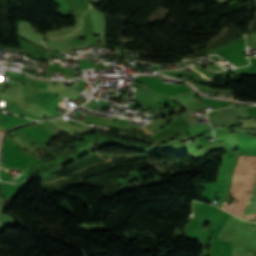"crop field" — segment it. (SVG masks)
<instances>
[{
  "label": "crop field",
  "mask_w": 256,
  "mask_h": 256,
  "mask_svg": "<svg viewBox=\"0 0 256 256\" xmlns=\"http://www.w3.org/2000/svg\"><path fill=\"white\" fill-rule=\"evenodd\" d=\"M32 102L48 109L49 111L53 112L54 114L56 115H60V113H58L55 109L51 108L50 106L46 105L45 103L51 105L52 107L54 108H59L61 107L59 104L64 102L60 99H58L53 93L51 92H48V93H45V94H41V95H37V96H34V97H30L29 98ZM45 103H43V102Z\"/></svg>",
  "instance_id": "obj_1"
},
{
  "label": "crop field",
  "mask_w": 256,
  "mask_h": 256,
  "mask_svg": "<svg viewBox=\"0 0 256 256\" xmlns=\"http://www.w3.org/2000/svg\"><path fill=\"white\" fill-rule=\"evenodd\" d=\"M226 203L224 202L220 208L225 209Z\"/></svg>",
  "instance_id": "obj_2"
},
{
  "label": "crop field",
  "mask_w": 256,
  "mask_h": 256,
  "mask_svg": "<svg viewBox=\"0 0 256 256\" xmlns=\"http://www.w3.org/2000/svg\"><path fill=\"white\" fill-rule=\"evenodd\" d=\"M214 1L218 2V0H214Z\"/></svg>",
  "instance_id": "obj_3"
},
{
  "label": "crop field",
  "mask_w": 256,
  "mask_h": 256,
  "mask_svg": "<svg viewBox=\"0 0 256 256\" xmlns=\"http://www.w3.org/2000/svg\"><path fill=\"white\" fill-rule=\"evenodd\" d=\"M2 132H0V136H1Z\"/></svg>",
  "instance_id": "obj_4"
}]
</instances>
